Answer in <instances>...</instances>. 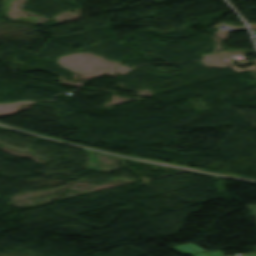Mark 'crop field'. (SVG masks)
<instances>
[{
	"label": "crop field",
	"mask_w": 256,
	"mask_h": 256,
	"mask_svg": "<svg viewBox=\"0 0 256 256\" xmlns=\"http://www.w3.org/2000/svg\"><path fill=\"white\" fill-rule=\"evenodd\" d=\"M173 250L183 254V255H187V254H191L194 252H199V251H203V249H201L200 247L192 244V243H187V244H183V245H179V246H175V247H170ZM192 256H223L222 253L218 250V251H214V252H200V253H196L193 254Z\"/></svg>",
	"instance_id": "1"
},
{
	"label": "crop field",
	"mask_w": 256,
	"mask_h": 256,
	"mask_svg": "<svg viewBox=\"0 0 256 256\" xmlns=\"http://www.w3.org/2000/svg\"><path fill=\"white\" fill-rule=\"evenodd\" d=\"M248 209L250 210L251 214L256 217V205L255 206H249Z\"/></svg>",
	"instance_id": "2"
},
{
	"label": "crop field",
	"mask_w": 256,
	"mask_h": 256,
	"mask_svg": "<svg viewBox=\"0 0 256 256\" xmlns=\"http://www.w3.org/2000/svg\"><path fill=\"white\" fill-rule=\"evenodd\" d=\"M250 27L252 30H256V24H251Z\"/></svg>",
	"instance_id": "3"
}]
</instances>
